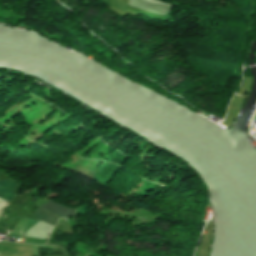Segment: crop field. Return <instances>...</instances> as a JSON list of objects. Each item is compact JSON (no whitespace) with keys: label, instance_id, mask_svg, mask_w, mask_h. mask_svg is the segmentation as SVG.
<instances>
[{"label":"crop field","instance_id":"obj_1","mask_svg":"<svg viewBox=\"0 0 256 256\" xmlns=\"http://www.w3.org/2000/svg\"><path fill=\"white\" fill-rule=\"evenodd\" d=\"M37 214V219L49 223L50 225L54 226V224L57 222L58 218L56 215L46 212L45 210H42L40 208H37L34 212ZM38 220H30L26 217L22 218L15 228L10 233L11 236H17V237H23L25 235V232L30 229L35 223H37Z\"/></svg>","mask_w":256,"mask_h":256},{"label":"crop field","instance_id":"obj_2","mask_svg":"<svg viewBox=\"0 0 256 256\" xmlns=\"http://www.w3.org/2000/svg\"><path fill=\"white\" fill-rule=\"evenodd\" d=\"M41 208L48 210L50 212H53V213L59 215L60 217H64V218H68V217L72 216V214L74 212L73 209L64 207V206L57 204L51 200L48 201L47 203H45L44 205H42Z\"/></svg>","mask_w":256,"mask_h":256},{"label":"crop field","instance_id":"obj_3","mask_svg":"<svg viewBox=\"0 0 256 256\" xmlns=\"http://www.w3.org/2000/svg\"><path fill=\"white\" fill-rule=\"evenodd\" d=\"M16 180L0 181V198L10 202L14 197Z\"/></svg>","mask_w":256,"mask_h":256},{"label":"crop field","instance_id":"obj_4","mask_svg":"<svg viewBox=\"0 0 256 256\" xmlns=\"http://www.w3.org/2000/svg\"><path fill=\"white\" fill-rule=\"evenodd\" d=\"M37 248L55 250L56 247L55 246H37V245H33V255H38Z\"/></svg>","mask_w":256,"mask_h":256}]
</instances>
